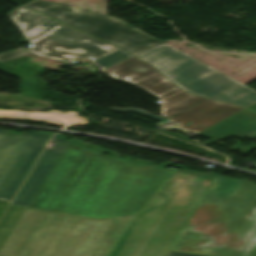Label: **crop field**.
Masks as SVG:
<instances>
[{"mask_svg": "<svg viewBox=\"0 0 256 256\" xmlns=\"http://www.w3.org/2000/svg\"><path fill=\"white\" fill-rule=\"evenodd\" d=\"M174 171L70 142L29 208L97 218L138 214Z\"/></svg>", "mask_w": 256, "mask_h": 256, "instance_id": "crop-field-1", "label": "crop field"}, {"mask_svg": "<svg viewBox=\"0 0 256 256\" xmlns=\"http://www.w3.org/2000/svg\"><path fill=\"white\" fill-rule=\"evenodd\" d=\"M256 184L216 174L169 250L256 256Z\"/></svg>", "mask_w": 256, "mask_h": 256, "instance_id": "crop-field-2", "label": "crop field"}, {"mask_svg": "<svg viewBox=\"0 0 256 256\" xmlns=\"http://www.w3.org/2000/svg\"><path fill=\"white\" fill-rule=\"evenodd\" d=\"M135 216L97 219L27 209L0 256H108Z\"/></svg>", "mask_w": 256, "mask_h": 256, "instance_id": "crop-field-3", "label": "crop field"}, {"mask_svg": "<svg viewBox=\"0 0 256 256\" xmlns=\"http://www.w3.org/2000/svg\"><path fill=\"white\" fill-rule=\"evenodd\" d=\"M212 176L179 169L125 231L110 256H163Z\"/></svg>", "mask_w": 256, "mask_h": 256, "instance_id": "crop-field-4", "label": "crop field"}, {"mask_svg": "<svg viewBox=\"0 0 256 256\" xmlns=\"http://www.w3.org/2000/svg\"><path fill=\"white\" fill-rule=\"evenodd\" d=\"M154 65L177 86L194 95L248 107L256 91L163 43L135 55Z\"/></svg>", "mask_w": 256, "mask_h": 256, "instance_id": "crop-field-5", "label": "crop field"}, {"mask_svg": "<svg viewBox=\"0 0 256 256\" xmlns=\"http://www.w3.org/2000/svg\"><path fill=\"white\" fill-rule=\"evenodd\" d=\"M24 6L49 15L81 32L120 46L133 55L163 43L117 18L41 0H32Z\"/></svg>", "mask_w": 256, "mask_h": 256, "instance_id": "crop-field-6", "label": "crop field"}, {"mask_svg": "<svg viewBox=\"0 0 256 256\" xmlns=\"http://www.w3.org/2000/svg\"><path fill=\"white\" fill-rule=\"evenodd\" d=\"M34 46L28 51L42 56L72 62L75 57L105 56L119 48L100 42L50 17L22 32Z\"/></svg>", "mask_w": 256, "mask_h": 256, "instance_id": "crop-field-7", "label": "crop field"}, {"mask_svg": "<svg viewBox=\"0 0 256 256\" xmlns=\"http://www.w3.org/2000/svg\"><path fill=\"white\" fill-rule=\"evenodd\" d=\"M50 137L0 130V217Z\"/></svg>", "mask_w": 256, "mask_h": 256, "instance_id": "crop-field-8", "label": "crop field"}, {"mask_svg": "<svg viewBox=\"0 0 256 256\" xmlns=\"http://www.w3.org/2000/svg\"><path fill=\"white\" fill-rule=\"evenodd\" d=\"M102 73L116 80L129 82L161 100L181 91L153 66L133 56L102 71Z\"/></svg>", "mask_w": 256, "mask_h": 256, "instance_id": "crop-field-9", "label": "crop field"}, {"mask_svg": "<svg viewBox=\"0 0 256 256\" xmlns=\"http://www.w3.org/2000/svg\"><path fill=\"white\" fill-rule=\"evenodd\" d=\"M241 109L243 108L207 99L171 117V120L180 121L181 128L198 133Z\"/></svg>", "mask_w": 256, "mask_h": 256, "instance_id": "crop-field-10", "label": "crop field"}, {"mask_svg": "<svg viewBox=\"0 0 256 256\" xmlns=\"http://www.w3.org/2000/svg\"><path fill=\"white\" fill-rule=\"evenodd\" d=\"M56 142L54 148H46L41 159L25 181L15 200L13 206L28 208L31 201L39 191L47 176L55 166L63 151L69 144V141L53 136Z\"/></svg>", "mask_w": 256, "mask_h": 256, "instance_id": "crop-field-11", "label": "crop field"}, {"mask_svg": "<svg viewBox=\"0 0 256 256\" xmlns=\"http://www.w3.org/2000/svg\"><path fill=\"white\" fill-rule=\"evenodd\" d=\"M198 135L218 140L228 136L256 138V113L243 109Z\"/></svg>", "mask_w": 256, "mask_h": 256, "instance_id": "crop-field-12", "label": "crop field"}, {"mask_svg": "<svg viewBox=\"0 0 256 256\" xmlns=\"http://www.w3.org/2000/svg\"><path fill=\"white\" fill-rule=\"evenodd\" d=\"M206 98L196 97L185 91L163 101V114L170 117Z\"/></svg>", "mask_w": 256, "mask_h": 256, "instance_id": "crop-field-13", "label": "crop field"}, {"mask_svg": "<svg viewBox=\"0 0 256 256\" xmlns=\"http://www.w3.org/2000/svg\"><path fill=\"white\" fill-rule=\"evenodd\" d=\"M26 211L25 208L10 206L0 222V250Z\"/></svg>", "mask_w": 256, "mask_h": 256, "instance_id": "crop-field-14", "label": "crop field"}, {"mask_svg": "<svg viewBox=\"0 0 256 256\" xmlns=\"http://www.w3.org/2000/svg\"><path fill=\"white\" fill-rule=\"evenodd\" d=\"M8 15L21 32L45 17L23 6L9 12Z\"/></svg>", "mask_w": 256, "mask_h": 256, "instance_id": "crop-field-15", "label": "crop field"}, {"mask_svg": "<svg viewBox=\"0 0 256 256\" xmlns=\"http://www.w3.org/2000/svg\"><path fill=\"white\" fill-rule=\"evenodd\" d=\"M132 56L131 54H129L128 52L119 49L105 57L99 58L93 62H91L92 64H94L100 71L128 58Z\"/></svg>", "mask_w": 256, "mask_h": 256, "instance_id": "crop-field-16", "label": "crop field"}, {"mask_svg": "<svg viewBox=\"0 0 256 256\" xmlns=\"http://www.w3.org/2000/svg\"><path fill=\"white\" fill-rule=\"evenodd\" d=\"M108 109L113 110L115 112L129 110V111H132V112H135V113L147 116L149 118L155 119L157 121H159L161 119H164L163 117L158 116L156 114H153V113H150V112H146V111H143V110H140V109H136V108H108Z\"/></svg>", "mask_w": 256, "mask_h": 256, "instance_id": "crop-field-17", "label": "crop field"}, {"mask_svg": "<svg viewBox=\"0 0 256 256\" xmlns=\"http://www.w3.org/2000/svg\"><path fill=\"white\" fill-rule=\"evenodd\" d=\"M29 54L28 52L24 51L23 49L19 48L4 54L0 55V62L6 61V60H10L22 55H26Z\"/></svg>", "mask_w": 256, "mask_h": 256, "instance_id": "crop-field-18", "label": "crop field"}, {"mask_svg": "<svg viewBox=\"0 0 256 256\" xmlns=\"http://www.w3.org/2000/svg\"><path fill=\"white\" fill-rule=\"evenodd\" d=\"M166 256H202V255H194V254H187V253L168 251Z\"/></svg>", "mask_w": 256, "mask_h": 256, "instance_id": "crop-field-19", "label": "crop field"}, {"mask_svg": "<svg viewBox=\"0 0 256 256\" xmlns=\"http://www.w3.org/2000/svg\"><path fill=\"white\" fill-rule=\"evenodd\" d=\"M247 109H249V110H252V111L256 112V103H255V104H253L252 106L248 107Z\"/></svg>", "mask_w": 256, "mask_h": 256, "instance_id": "crop-field-20", "label": "crop field"}, {"mask_svg": "<svg viewBox=\"0 0 256 256\" xmlns=\"http://www.w3.org/2000/svg\"><path fill=\"white\" fill-rule=\"evenodd\" d=\"M166 120H168V119H166ZM164 121H165V120H164ZM164 121H162V123H161L160 125H162V124L166 123V122H164ZM160 125H158V126H160Z\"/></svg>", "mask_w": 256, "mask_h": 256, "instance_id": "crop-field-21", "label": "crop field"}]
</instances>
